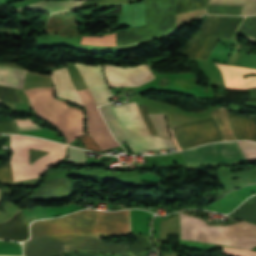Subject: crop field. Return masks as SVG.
<instances>
[{
  "label": "crop field",
  "instance_id": "crop-field-1",
  "mask_svg": "<svg viewBox=\"0 0 256 256\" xmlns=\"http://www.w3.org/2000/svg\"><path fill=\"white\" fill-rule=\"evenodd\" d=\"M66 234L129 235L130 210H84L58 219L36 221L31 225V239ZM129 248V245L104 242L100 240V236L91 235L39 238L23 243L24 256H51L61 252H97L128 256Z\"/></svg>",
  "mask_w": 256,
  "mask_h": 256
},
{
  "label": "crop field",
  "instance_id": "crop-field-2",
  "mask_svg": "<svg viewBox=\"0 0 256 256\" xmlns=\"http://www.w3.org/2000/svg\"><path fill=\"white\" fill-rule=\"evenodd\" d=\"M112 106H101L100 111L113 136L120 143L127 141L134 152L174 147L171 140L149 134L135 102Z\"/></svg>",
  "mask_w": 256,
  "mask_h": 256
},
{
  "label": "crop field",
  "instance_id": "crop-field-3",
  "mask_svg": "<svg viewBox=\"0 0 256 256\" xmlns=\"http://www.w3.org/2000/svg\"><path fill=\"white\" fill-rule=\"evenodd\" d=\"M181 239L250 249L256 246V226L238 222L209 226L206 222L180 213Z\"/></svg>",
  "mask_w": 256,
  "mask_h": 256
},
{
  "label": "crop field",
  "instance_id": "crop-field-4",
  "mask_svg": "<svg viewBox=\"0 0 256 256\" xmlns=\"http://www.w3.org/2000/svg\"><path fill=\"white\" fill-rule=\"evenodd\" d=\"M176 29V0H146V26L116 30L117 46L171 35Z\"/></svg>",
  "mask_w": 256,
  "mask_h": 256
},
{
  "label": "crop field",
  "instance_id": "crop-field-5",
  "mask_svg": "<svg viewBox=\"0 0 256 256\" xmlns=\"http://www.w3.org/2000/svg\"><path fill=\"white\" fill-rule=\"evenodd\" d=\"M178 150L221 141L214 119L168 128Z\"/></svg>",
  "mask_w": 256,
  "mask_h": 256
},
{
  "label": "crop field",
  "instance_id": "crop-field-6",
  "mask_svg": "<svg viewBox=\"0 0 256 256\" xmlns=\"http://www.w3.org/2000/svg\"><path fill=\"white\" fill-rule=\"evenodd\" d=\"M181 153L188 165L245 161L236 142L209 144Z\"/></svg>",
  "mask_w": 256,
  "mask_h": 256
},
{
  "label": "crop field",
  "instance_id": "crop-field-7",
  "mask_svg": "<svg viewBox=\"0 0 256 256\" xmlns=\"http://www.w3.org/2000/svg\"><path fill=\"white\" fill-rule=\"evenodd\" d=\"M224 16L207 15L200 31L187 41L180 54L207 60L218 40L211 38Z\"/></svg>",
  "mask_w": 256,
  "mask_h": 256
},
{
  "label": "crop field",
  "instance_id": "crop-field-8",
  "mask_svg": "<svg viewBox=\"0 0 256 256\" xmlns=\"http://www.w3.org/2000/svg\"><path fill=\"white\" fill-rule=\"evenodd\" d=\"M86 108L89 131L102 150L119 146L111 136L88 89L79 91Z\"/></svg>",
  "mask_w": 256,
  "mask_h": 256
},
{
  "label": "crop field",
  "instance_id": "crop-field-9",
  "mask_svg": "<svg viewBox=\"0 0 256 256\" xmlns=\"http://www.w3.org/2000/svg\"><path fill=\"white\" fill-rule=\"evenodd\" d=\"M105 73L110 86H138L155 78L147 65L135 67L105 65Z\"/></svg>",
  "mask_w": 256,
  "mask_h": 256
},
{
  "label": "crop field",
  "instance_id": "crop-field-10",
  "mask_svg": "<svg viewBox=\"0 0 256 256\" xmlns=\"http://www.w3.org/2000/svg\"><path fill=\"white\" fill-rule=\"evenodd\" d=\"M87 83L93 97L98 105L109 102L107 98L113 96V93L106 85L102 76V66H85L75 64Z\"/></svg>",
  "mask_w": 256,
  "mask_h": 256
},
{
  "label": "crop field",
  "instance_id": "crop-field-11",
  "mask_svg": "<svg viewBox=\"0 0 256 256\" xmlns=\"http://www.w3.org/2000/svg\"><path fill=\"white\" fill-rule=\"evenodd\" d=\"M216 65L222 74L226 87L235 89L256 87V77H247L243 79V77L241 76L244 74L256 73V70L243 67L228 66L223 64Z\"/></svg>",
  "mask_w": 256,
  "mask_h": 256
},
{
  "label": "crop field",
  "instance_id": "crop-field-12",
  "mask_svg": "<svg viewBox=\"0 0 256 256\" xmlns=\"http://www.w3.org/2000/svg\"><path fill=\"white\" fill-rule=\"evenodd\" d=\"M52 79L58 97L71 100L84 106L83 101L77 92V89L73 85L66 68L53 71Z\"/></svg>",
  "mask_w": 256,
  "mask_h": 256
},
{
  "label": "crop field",
  "instance_id": "crop-field-13",
  "mask_svg": "<svg viewBox=\"0 0 256 256\" xmlns=\"http://www.w3.org/2000/svg\"><path fill=\"white\" fill-rule=\"evenodd\" d=\"M28 238V223L22 212H20L11 221L0 225V239L25 241Z\"/></svg>",
  "mask_w": 256,
  "mask_h": 256
},
{
  "label": "crop field",
  "instance_id": "crop-field-14",
  "mask_svg": "<svg viewBox=\"0 0 256 256\" xmlns=\"http://www.w3.org/2000/svg\"><path fill=\"white\" fill-rule=\"evenodd\" d=\"M230 118L237 140L251 139L256 141V115L246 117L230 114Z\"/></svg>",
  "mask_w": 256,
  "mask_h": 256
},
{
  "label": "crop field",
  "instance_id": "crop-field-15",
  "mask_svg": "<svg viewBox=\"0 0 256 256\" xmlns=\"http://www.w3.org/2000/svg\"><path fill=\"white\" fill-rule=\"evenodd\" d=\"M71 190L70 183L66 178L49 180L41 187L34 197H49L68 194Z\"/></svg>",
  "mask_w": 256,
  "mask_h": 256
},
{
  "label": "crop field",
  "instance_id": "crop-field-16",
  "mask_svg": "<svg viewBox=\"0 0 256 256\" xmlns=\"http://www.w3.org/2000/svg\"><path fill=\"white\" fill-rule=\"evenodd\" d=\"M211 114L220 129L222 141L236 140L227 110L218 108L212 111Z\"/></svg>",
  "mask_w": 256,
  "mask_h": 256
},
{
  "label": "crop field",
  "instance_id": "crop-field-17",
  "mask_svg": "<svg viewBox=\"0 0 256 256\" xmlns=\"http://www.w3.org/2000/svg\"><path fill=\"white\" fill-rule=\"evenodd\" d=\"M25 73L23 70L0 66V84L22 89Z\"/></svg>",
  "mask_w": 256,
  "mask_h": 256
},
{
  "label": "crop field",
  "instance_id": "crop-field-18",
  "mask_svg": "<svg viewBox=\"0 0 256 256\" xmlns=\"http://www.w3.org/2000/svg\"><path fill=\"white\" fill-rule=\"evenodd\" d=\"M79 1H64V2H46L41 1L31 5H27V10H43L50 13L64 11L72 8H77Z\"/></svg>",
  "mask_w": 256,
  "mask_h": 256
},
{
  "label": "crop field",
  "instance_id": "crop-field-19",
  "mask_svg": "<svg viewBox=\"0 0 256 256\" xmlns=\"http://www.w3.org/2000/svg\"><path fill=\"white\" fill-rule=\"evenodd\" d=\"M244 17L225 16L222 23L213 35L214 38H231Z\"/></svg>",
  "mask_w": 256,
  "mask_h": 256
},
{
  "label": "crop field",
  "instance_id": "crop-field-20",
  "mask_svg": "<svg viewBox=\"0 0 256 256\" xmlns=\"http://www.w3.org/2000/svg\"><path fill=\"white\" fill-rule=\"evenodd\" d=\"M228 216L256 224V198H250L241 207Z\"/></svg>",
  "mask_w": 256,
  "mask_h": 256
},
{
  "label": "crop field",
  "instance_id": "crop-field-21",
  "mask_svg": "<svg viewBox=\"0 0 256 256\" xmlns=\"http://www.w3.org/2000/svg\"><path fill=\"white\" fill-rule=\"evenodd\" d=\"M210 4L245 5L241 15L256 14V0H211Z\"/></svg>",
  "mask_w": 256,
  "mask_h": 256
},
{
  "label": "crop field",
  "instance_id": "crop-field-22",
  "mask_svg": "<svg viewBox=\"0 0 256 256\" xmlns=\"http://www.w3.org/2000/svg\"><path fill=\"white\" fill-rule=\"evenodd\" d=\"M209 1L210 0H189L186 5V0H177V14L207 7Z\"/></svg>",
  "mask_w": 256,
  "mask_h": 256
},
{
  "label": "crop field",
  "instance_id": "crop-field-23",
  "mask_svg": "<svg viewBox=\"0 0 256 256\" xmlns=\"http://www.w3.org/2000/svg\"><path fill=\"white\" fill-rule=\"evenodd\" d=\"M0 99L10 103L22 102L16 89L2 85H0Z\"/></svg>",
  "mask_w": 256,
  "mask_h": 256
},
{
  "label": "crop field",
  "instance_id": "crop-field-24",
  "mask_svg": "<svg viewBox=\"0 0 256 256\" xmlns=\"http://www.w3.org/2000/svg\"><path fill=\"white\" fill-rule=\"evenodd\" d=\"M237 143L248 162L256 160V143L247 141H240Z\"/></svg>",
  "mask_w": 256,
  "mask_h": 256
},
{
  "label": "crop field",
  "instance_id": "crop-field-25",
  "mask_svg": "<svg viewBox=\"0 0 256 256\" xmlns=\"http://www.w3.org/2000/svg\"><path fill=\"white\" fill-rule=\"evenodd\" d=\"M136 243L132 245L130 253L134 256H143L141 253L149 246L147 236L136 235Z\"/></svg>",
  "mask_w": 256,
  "mask_h": 256
},
{
  "label": "crop field",
  "instance_id": "crop-field-26",
  "mask_svg": "<svg viewBox=\"0 0 256 256\" xmlns=\"http://www.w3.org/2000/svg\"><path fill=\"white\" fill-rule=\"evenodd\" d=\"M159 135L169 136L163 114H150Z\"/></svg>",
  "mask_w": 256,
  "mask_h": 256
},
{
  "label": "crop field",
  "instance_id": "crop-field-27",
  "mask_svg": "<svg viewBox=\"0 0 256 256\" xmlns=\"http://www.w3.org/2000/svg\"><path fill=\"white\" fill-rule=\"evenodd\" d=\"M138 108H139V111L141 113V116L147 126V128L149 129L150 133L151 134H155V135H158L157 132H156V129L148 115V106H144V105H137Z\"/></svg>",
  "mask_w": 256,
  "mask_h": 256
},
{
  "label": "crop field",
  "instance_id": "crop-field-28",
  "mask_svg": "<svg viewBox=\"0 0 256 256\" xmlns=\"http://www.w3.org/2000/svg\"><path fill=\"white\" fill-rule=\"evenodd\" d=\"M84 158H85V151L71 148V147L69 148L68 162L84 164Z\"/></svg>",
  "mask_w": 256,
  "mask_h": 256
},
{
  "label": "crop field",
  "instance_id": "crop-field-29",
  "mask_svg": "<svg viewBox=\"0 0 256 256\" xmlns=\"http://www.w3.org/2000/svg\"><path fill=\"white\" fill-rule=\"evenodd\" d=\"M5 167L0 168V182L9 183L13 182L11 165L9 162H3Z\"/></svg>",
  "mask_w": 256,
  "mask_h": 256
},
{
  "label": "crop field",
  "instance_id": "crop-field-30",
  "mask_svg": "<svg viewBox=\"0 0 256 256\" xmlns=\"http://www.w3.org/2000/svg\"><path fill=\"white\" fill-rule=\"evenodd\" d=\"M222 252L230 253V254H236V255H242V256H256L255 251H249V250H243V249H237V248H230V247H224V246H222Z\"/></svg>",
  "mask_w": 256,
  "mask_h": 256
},
{
  "label": "crop field",
  "instance_id": "crop-field-31",
  "mask_svg": "<svg viewBox=\"0 0 256 256\" xmlns=\"http://www.w3.org/2000/svg\"><path fill=\"white\" fill-rule=\"evenodd\" d=\"M135 0H89L83 2L79 8L86 7L94 4H111V3H124V2H130Z\"/></svg>",
  "mask_w": 256,
  "mask_h": 256
},
{
  "label": "crop field",
  "instance_id": "crop-field-32",
  "mask_svg": "<svg viewBox=\"0 0 256 256\" xmlns=\"http://www.w3.org/2000/svg\"><path fill=\"white\" fill-rule=\"evenodd\" d=\"M18 131L15 121H0V133Z\"/></svg>",
  "mask_w": 256,
  "mask_h": 256
},
{
  "label": "crop field",
  "instance_id": "crop-field-33",
  "mask_svg": "<svg viewBox=\"0 0 256 256\" xmlns=\"http://www.w3.org/2000/svg\"><path fill=\"white\" fill-rule=\"evenodd\" d=\"M80 141L85 145L86 148L101 150L99 146L94 142L90 135L80 137Z\"/></svg>",
  "mask_w": 256,
  "mask_h": 256
},
{
  "label": "crop field",
  "instance_id": "crop-field-34",
  "mask_svg": "<svg viewBox=\"0 0 256 256\" xmlns=\"http://www.w3.org/2000/svg\"><path fill=\"white\" fill-rule=\"evenodd\" d=\"M18 126H23V125H36L31 119H24V120H16Z\"/></svg>",
  "mask_w": 256,
  "mask_h": 256
},
{
  "label": "crop field",
  "instance_id": "crop-field-35",
  "mask_svg": "<svg viewBox=\"0 0 256 256\" xmlns=\"http://www.w3.org/2000/svg\"><path fill=\"white\" fill-rule=\"evenodd\" d=\"M0 246H21L19 243H8L4 241H0Z\"/></svg>",
  "mask_w": 256,
  "mask_h": 256
},
{
  "label": "crop field",
  "instance_id": "crop-field-36",
  "mask_svg": "<svg viewBox=\"0 0 256 256\" xmlns=\"http://www.w3.org/2000/svg\"><path fill=\"white\" fill-rule=\"evenodd\" d=\"M20 131L22 130H31V129H40L38 126H32V127H19Z\"/></svg>",
  "mask_w": 256,
  "mask_h": 256
},
{
  "label": "crop field",
  "instance_id": "crop-field-37",
  "mask_svg": "<svg viewBox=\"0 0 256 256\" xmlns=\"http://www.w3.org/2000/svg\"><path fill=\"white\" fill-rule=\"evenodd\" d=\"M55 256H63V254L61 253V254H58V255H55Z\"/></svg>",
  "mask_w": 256,
  "mask_h": 256
}]
</instances>
